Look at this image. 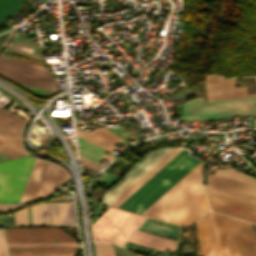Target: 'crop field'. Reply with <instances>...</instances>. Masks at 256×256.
Listing matches in <instances>:
<instances>
[{"mask_svg": "<svg viewBox=\"0 0 256 256\" xmlns=\"http://www.w3.org/2000/svg\"><path fill=\"white\" fill-rule=\"evenodd\" d=\"M214 211L256 223V180L233 168H216L205 186Z\"/></svg>", "mask_w": 256, "mask_h": 256, "instance_id": "obj_2", "label": "crop field"}, {"mask_svg": "<svg viewBox=\"0 0 256 256\" xmlns=\"http://www.w3.org/2000/svg\"><path fill=\"white\" fill-rule=\"evenodd\" d=\"M136 243L144 244L158 249L174 251L177 241L161 238L158 236L146 234L137 230V232L129 239Z\"/></svg>", "mask_w": 256, "mask_h": 256, "instance_id": "obj_18", "label": "crop field"}, {"mask_svg": "<svg viewBox=\"0 0 256 256\" xmlns=\"http://www.w3.org/2000/svg\"><path fill=\"white\" fill-rule=\"evenodd\" d=\"M201 169L200 162L143 215L191 226L209 209L200 181Z\"/></svg>", "mask_w": 256, "mask_h": 256, "instance_id": "obj_1", "label": "crop field"}, {"mask_svg": "<svg viewBox=\"0 0 256 256\" xmlns=\"http://www.w3.org/2000/svg\"><path fill=\"white\" fill-rule=\"evenodd\" d=\"M19 206H21V205H0V212L9 211V210L15 209Z\"/></svg>", "mask_w": 256, "mask_h": 256, "instance_id": "obj_27", "label": "crop field"}, {"mask_svg": "<svg viewBox=\"0 0 256 256\" xmlns=\"http://www.w3.org/2000/svg\"><path fill=\"white\" fill-rule=\"evenodd\" d=\"M34 157L0 163V202H18L32 168Z\"/></svg>", "mask_w": 256, "mask_h": 256, "instance_id": "obj_8", "label": "crop field"}, {"mask_svg": "<svg viewBox=\"0 0 256 256\" xmlns=\"http://www.w3.org/2000/svg\"><path fill=\"white\" fill-rule=\"evenodd\" d=\"M25 121L0 108V152L12 158L28 155L20 142V130Z\"/></svg>", "mask_w": 256, "mask_h": 256, "instance_id": "obj_10", "label": "crop field"}, {"mask_svg": "<svg viewBox=\"0 0 256 256\" xmlns=\"http://www.w3.org/2000/svg\"><path fill=\"white\" fill-rule=\"evenodd\" d=\"M206 85L209 101L256 95V93L246 95V87L236 88L234 78L225 79L219 75H210L206 76Z\"/></svg>", "mask_w": 256, "mask_h": 256, "instance_id": "obj_15", "label": "crop field"}, {"mask_svg": "<svg viewBox=\"0 0 256 256\" xmlns=\"http://www.w3.org/2000/svg\"><path fill=\"white\" fill-rule=\"evenodd\" d=\"M81 160H82V163L83 164H85V165H87V166H89V167H91V168H93V169H97L98 168V164H96V163H94V162H91V161H89V160H86V159H84V158H82L81 157Z\"/></svg>", "mask_w": 256, "mask_h": 256, "instance_id": "obj_28", "label": "crop field"}, {"mask_svg": "<svg viewBox=\"0 0 256 256\" xmlns=\"http://www.w3.org/2000/svg\"><path fill=\"white\" fill-rule=\"evenodd\" d=\"M22 3L23 0H0V22L13 15Z\"/></svg>", "mask_w": 256, "mask_h": 256, "instance_id": "obj_21", "label": "crop field"}, {"mask_svg": "<svg viewBox=\"0 0 256 256\" xmlns=\"http://www.w3.org/2000/svg\"><path fill=\"white\" fill-rule=\"evenodd\" d=\"M202 256H221L213 212H208L197 223Z\"/></svg>", "mask_w": 256, "mask_h": 256, "instance_id": "obj_14", "label": "crop field"}, {"mask_svg": "<svg viewBox=\"0 0 256 256\" xmlns=\"http://www.w3.org/2000/svg\"><path fill=\"white\" fill-rule=\"evenodd\" d=\"M214 214L222 256H256L250 224Z\"/></svg>", "mask_w": 256, "mask_h": 256, "instance_id": "obj_5", "label": "crop field"}, {"mask_svg": "<svg viewBox=\"0 0 256 256\" xmlns=\"http://www.w3.org/2000/svg\"><path fill=\"white\" fill-rule=\"evenodd\" d=\"M0 75L19 83L45 88L57 92L53 75L44 67L8 57L0 58Z\"/></svg>", "mask_w": 256, "mask_h": 256, "instance_id": "obj_9", "label": "crop field"}, {"mask_svg": "<svg viewBox=\"0 0 256 256\" xmlns=\"http://www.w3.org/2000/svg\"><path fill=\"white\" fill-rule=\"evenodd\" d=\"M77 133L79 135L85 137L86 139L108 149L109 151L115 147L114 146L115 144H117L118 142L121 143L120 141L124 140V139L120 138L119 136H117L116 134L112 133L111 131H109L103 127L95 129L94 131H92L90 133L83 132L80 130H77ZM121 144H123V143H121ZM123 145L128 147L125 144H123ZM115 148H117V147H115ZM117 149H119V148H117ZM119 150H121V149H119ZM121 151H123V150H121ZM114 154H116V153H114ZM116 155H118V154H116Z\"/></svg>", "mask_w": 256, "mask_h": 256, "instance_id": "obj_17", "label": "crop field"}, {"mask_svg": "<svg viewBox=\"0 0 256 256\" xmlns=\"http://www.w3.org/2000/svg\"><path fill=\"white\" fill-rule=\"evenodd\" d=\"M124 245H125V244H124ZM125 247L137 249V250L144 251V252H148V253L173 254V253H170V252L147 251V250H144V249H139V248H136V247L129 246V245H127V244L125 245Z\"/></svg>", "mask_w": 256, "mask_h": 256, "instance_id": "obj_29", "label": "crop field"}, {"mask_svg": "<svg viewBox=\"0 0 256 256\" xmlns=\"http://www.w3.org/2000/svg\"><path fill=\"white\" fill-rule=\"evenodd\" d=\"M140 229L180 240V235H181L180 231L172 230L169 228L157 226V225L146 223V222L142 224Z\"/></svg>", "mask_w": 256, "mask_h": 256, "instance_id": "obj_22", "label": "crop field"}, {"mask_svg": "<svg viewBox=\"0 0 256 256\" xmlns=\"http://www.w3.org/2000/svg\"><path fill=\"white\" fill-rule=\"evenodd\" d=\"M171 149H160L145 155L143 161L136 164L118 184L107 190L106 194L104 193L102 202L109 205Z\"/></svg>", "mask_w": 256, "mask_h": 256, "instance_id": "obj_13", "label": "crop field"}, {"mask_svg": "<svg viewBox=\"0 0 256 256\" xmlns=\"http://www.w3.org/2000/svg\"><path fill=\"white\" fill-rule=\"evenodd\" d=\"M69 176L61 167L36 159L19 202L32 201L56 190Z\"/></svg>", "mask_w": 256, "mask_h": 256, "instance_id": "obj_7", "label": "crop field"}, {"mask_svg": "<svg viewBox=\"0 0 256 256\" xmlns=\"http://www.w3.org/2000/svg\"><path fill=\"white\" fill-rule=\"evenodd\" d=\"M252 232H253V237H254V242H255V248H256V225H252Z\"/></svg>", "mask_w": 256, "mask_h": 256, "instance_id": "obj_30", "label": "crop field"}, {"mask_svg": "<svg viewBox=\"0 0 256 256\" xmlns=\"http://www.w3.org/2000/svg\"><path fill=\"white\" fill-rule=\"evenodd\" d=\"M33 226L76 225L74 206L68 203H42L31 207Z\"/></svg>", "mask_w": 256, "mask_h": 256, "instance_id": "obj_11", "label": "crop field"}, {"mask_svg": "<svg viewBox=\"0 0 256 256\" xmlns=\"http://www.w3.org/2000/svg\"><path fill=\"white\" fill-rule=\"evenodd\" d=\"M0 256H9L4 229H0Z\"/></svg>", "mask_w": 256, "mask_h": 256, "instance_id": "obj_26", "label": "crop field"}, {"mask_svg": "<svg viewBox=\"0 0 256 256\" xmlns=\"http://www.w3.org/2000/svg\"><path fill=\"white\" fill-rule=\"evenodd\" d=\"M78 140H79L81 156L86 159H89L91 161H94L98 164H99V158L103 153L108 152V153L112 154L108 150H106V149L80 137V136H78ZM112 155H114V154H112ZM114 156H116V155H114Z\"/></svg>", "mask_w": 256, "mask_h": 256, "instance_id": "obj_19", "label": "crop field"}, {"mask_svg": "<svg viewBox=\"0 0 256 256\" xmlns=\"http://www.w3.org/2000/svg\"><path fill=\"white\" fill-rule=\"evenodd\" d=\"M145 218L110 207L92 224L94 238L122 246Z\"/></svg>", "mask_w": 256, "mask_h": 256, "instance_id": "obj_6", "label": "crop field"}, {"mask_svg": "<svg viewBox=\"0 0 256 256\" xmlns=\"http://www.w3.org/2000/svg\"><path fill=\"white\" fill-rule=\"evenodd\" d=\"M15 226H28L26 208L14 213Z\"/></svg>", "mask_w": 256, "mask_h": 256, "instance_id": "obj_24", "label": "crop field"}, {"mask_svg": "<svg viewBox=\"0 0 256 256\" xmlns=\"http://www.w3.org/2000/svg\"><path fill=\"white\" fill-rule=\"evenodd\" d=\"M17 29H14L12 31H9L5 34L0 35V53L3 51V49L7 46V44L10 42L13 34L15 33Z\"/></svg>", "mask_w": 256, "mask_h": 256, "instance_id": "obj_25", "label": "crop field"}, {"mask_svg": "<svg viewBox=\"0 0 256 256\" xmlns=\"http://www.w3.org/2000/svg\"><path fill=\"white\" fill-rule=\"evenodd\" d=\"M103 158H105V159H107V160H109V161H111L112 159H110V158H108L107 156H103Z\"/></svg>", "mask_w": 256, "mask_h": 256, "instance_id": "obj_31", "label": "crop field"}, {"mask_svg": "<svg viewBox=\"0 0 256 256\" xmlns=\"http://www.w3.org/2000/svg\"><path fill=\"white\" fill-rule=\"evenodd\" d=\"M6 230L9 243L78 242L56 227Z\"/></svg>", "mask_w": 256, "mask_h": 256, "instance_id": "obj_12", "label": "crop field"}, {"mask_svg": "<svg viewBox=\"0 0 256 256\" xmlns=\"http://www.w3.org/2000/svg\"><path fill=\"white\" fill-rule=\"evenodd\" d=\"M181 150H182L181 148H173L170 152H168L161 160H159L151 169H149L142 177H140L133 185H131L123 194H121L110 205L117 207L120 203H122L128 196H130L136 189H138L145 181H147L153 174H155L162 166H164L170 159H172Z\"/></svg>", "mask_w": 256, "mask_h": 256, "instance_id": "obj_16", "label": "crop field"}, {"mask_svg": "<svg viewBox=\"0 0 256 256\" xmlns=\"http://www.w3.org/2000/svg\"><path fill=\"white\" fill-rule=\"evenodd\" d=\"M96 256H115V252L110 243L95 242Z\"/></svg>", "mask_w": 256, "mask_h": 256, "instance_id": "obj_23", "label": "crop field"}, {"mask_svg": "<svg viewBox=\"0 0 256 256\" xmlns=\"http://www.w3.org/2000/svg\"><path fill=\"white\" fill-rule=\"evenodd\" d=\"M78 248L10 249L11 254L75 253Z\"/></svg>", "mask_w": 256, "mask_h": 256, "instance_id": "obj_20", "label": "crop field"}, {"mask_svg": "<svg viewBox=\"0 0 256 256\" xmlns=\"http://www.w3.org/2000/svg\"><path fill=\"white\" fill-rule=\"evenodd\" d=\"M256 96L202 103L201 97L185 101L181 121L224 118L231 115L256 116Z\"/></svg>", "mask_w": 256, "mask_h": 256, "instance_id": "obj_4", "label": "crop field"}, {"mask_svg": "<svg viewBox=\"0 0 256 256\" xmlns=\"http://www.w3.org/2000/svg\"><path fill=\"white\" fill-rule=\"evenodd\" d=\"M199 162L183 149L118 208L142 214Z\"/></svg>", "mask_w": 256, "mask_h": 256, "instance_id": "obj_3", "label": "crop field"}]
</instances>
